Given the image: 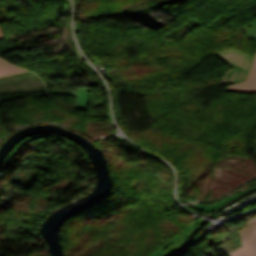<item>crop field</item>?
<instances>
[{
  "label": "crop field",
  "instance_id": "crop-field-4",
  "mask_svg": "<svg viewBox=\"0 0 256 256\" xmlns=\"http://www.w3.org/2000/svg\"><path fill=\"white\" fill-rule=\"evenodd\" d=\"M226 91H235L243 93L256 92V58L251 67L247 80L245 82L229 86Z\"/></svg>",
  "mask_w": 256,
  "mask_h": 256
},
{
  "label": "crop field",
  "instance_id": "crop-field-5",
  "mask_svg": "<svg viewBox=\"0 0 256 256\" xmlns=\"http://www.w3.org/2000/svg\"><path fill=\"white\" fill-rule=\"evenodd\" d=\"M200 222V220L196 221L192 225H190L186 230H184L181 235L177 238V240L170 245L168 248L165 249V251L161 254V256H166L169 254L172 250L180 246L183 241L186 239V237L190 234V232L197 226V224Z\"/></svg>",
  "mask_w": 256,
  "mask_h": 256
},
{
  "label": "crop field",
  "instance_id": "crop-field-3",
  "mask_svg": "<svg viewBox=\"0 0 256 256\" xmlns=\"http://www.w3.org/2000/svg\"><path fill=\"white\" fill-rule=\"evenodd\" d=\"M47 90L49 94L75 96L73 109L86 110L88 103V88L54 87Z\"/></svg>",
  "mask_w": 256,
  "mask_h": 256
},
{
  "label": "crop field",
  "instance_id": "crop-field-9",
  "mask_svg": "<svg viewBox=\"0 0 256 256\" xmlns=\"http://www.w3.org/2000/svg\"><path fill=\"white\" fill-rule=\"evenodd\" d=\"M1 37H4V35H3V32H2V30H1V28H0V38Z\"/></svg>",
  "mask_w": 256,
  "mask_h": 256
},
{
  "label": "crop field",
  "instance_id": "crop-field-6",
  "mask_svg": "<svg viewBox=\"0 0 256 256\" xmlns=\"http://www.w3.org/2000/svg\"><path fill=\"white\" fill-rule=\"evenodd\" d=\"M27 72L25 69H20L10 63L0 59V77L8 75H16Z\"/></svg>",
  "mask_w": 256,
  "mask_h": 256
},
{
  "label": "crop field",
  "instance_id": "crop-field-1",
  "mask_svg": "<svg viewBox=\"0 0 256 256\" xmlns=\"http://www.w3.org/2000/svg\"><path fill=\"white\" fill-rule=\"evenodd\" d=\"M215 55L233 67L226 71V76L223 80L224 83L232 84L245 80L247 72L252 64L253 57L234 49L220 51L215 53Z\"/></svg>",
  "mask_w": 256,
  "mask_h": 256
},
{
  "label": "crop field",
  "instance_id": "crop-field-2",
  "mask_svg": "<svg viewBox=\"0 0 256 256\" xmlns=\"http://www.w3.org/2000/svg\"><path fill=\"white\" fill-rule=\"evenodd\" d=\"M246 223L248 226L240 231L243 246L227 256H256V217Z\"/></svg>",
  "mask_w": 256,
  "mask_h": 256
},
{
  "label": "crop field",
  "instance_id": "crop-field-7",
  "mask_svg": "<svg viewBox=\"0 0 256 256\" xmlns=\"http://www.w3.org/2000/svg\"><path fill=\"white\" fill-rule=\"evenodd\" d=\"M253 188H255V186H253L251 188H248V189H245V190H243V191H241V192H239V193H237V194H235V195H233V196H231V197H229V198H227V199H225V200H223V201H221L217 204L211 205V206H206V205H192V206L198 208L201 211L211 212V211L215 210L216 208L224 205L226 202L236 198L237 196H239V195H241V194H243V193H245V192H247V191H249Z\"/></svg>",
  "mask_w": 256,
  "mask_h": 256
},
{
  "label": "crop field",
  "instance_id": "crop-field-8",
  "mask_svg": "<svg viewBox=\"0 0 256 256\" xmlns=\"http://www.w3.org/2000/svg\"><path fill=\"white\" fill-rule=\"evenodd\" d=\"M255 15H256V12H255ZM243 30H244L246 36H248L249 38H251L250 36L255 35L256 34V20L245 25Z\"/></svg>",
  "mask_w": 256,
  "mask_h": 256
}]
</instances>
